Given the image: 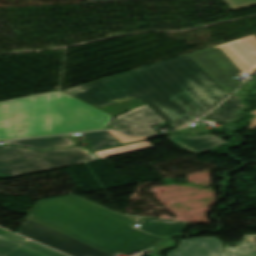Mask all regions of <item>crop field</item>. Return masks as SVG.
Masks as SVG:
<instances>
[{"label": "crop field", "mask_w": 256, "mask_h": 256, "mask_svg": "<svg viewBox=\"0 0 256 256\" xmlns=\"http://www.w3.org/2000/svg\"><path fill=\"white\" fill-rule=\"evenodd\" d=\"M136 222L141 230L163 237L184 232L188 224L117 214L70 195L37 202L17 232L72 256L128 255L146 248L153 250L147 256H158L159 249L175 245L130 228Z\"/></svg>", "instance_id": "1"}, {"label": "crop field", "mask_w": 256, "mask_h": 256, "mask_svg": "<svg viewBox=\"0 0 256 256\" xmlns=\"http://www.w3.org/2000/svg\"><path fill=\"white\" fill-rule=\"evenodd\" d=\"M63 92L96 108L139 97L173 130L229 96L187 55Z\"/></svg>", "instance_id": "2"}, {"label": "crop field", "mask_w": 256, "mask_h": 256, "mask_svg": "<svg viewBox=\"0 0 256 256\" xmlns=\"http://www.w3.org/2000/svg\"><path fill=\"white\" fill-rule=\"evenodd\" d=\"M113 116L56 91L0 103V141L105 128Z\"/></svg>", "instance_id": "3"}, {"label": "crop field", "mask_w": 256, "mask_h": 256, "mask_svg": "<svg viewBox=\"0 0 256 256\" xmlns=\"http://www.w3.org/2000/svg\"><path fill=\"white\" fill-rule=\"evenodd\" d=\"M229 95L241 84L232 77L256 69V35L188 54Z\"/></svg>", "instance_id": "4"}, {"label": "crop field", "mask_w": 256, "mask_h": 256, "mask_svg": "<svg viewBox=\"0 0 256 256\" xmlns=\"http://www.w3.org/2000/svg\"><path fill=\"white\" fill-rule=\"evenodd\" d=\"M79 147L37 152L16 147L0 148V178L9 179L51 169L94 161Z\"/></svg>", "instance_id": "5"}, {"label": "crop field", "mask_w": 256, "mask_h": 256, "mask_svg": "<svg viewBox=\"0 0 256 256\" xmlns=\"http://www.w3.org/2000/svg\"><path fill=\"white\" fill-rule=\"evenodd\" d=\"M164 123L146 105L112 119L110 125L119 131L132 136L155 134L149 127Z\"/></svg>", "instance_id": "6"}, {"label": "crop field", "mask_w": 256, "mask_h": 256, "mask_svg": "<svg viewBox=\"0 0 256 256\" xmlns=\"http://www.w3.org/2000/svg\"><path fill=\"white\" fill-rule=\"evenodd\" d=\"M0 256H65L0 228Z\"/></svg>", "instance_id": "7"}, {"label": "crop field", "mask_w": 256, "mask_h": 256, "mask_svg": "<svg viewBox=\"0 0 256 256\" xmlns=\"http://www.w3.org/2000/svg\"><path fill=\"white\" fill-rule=\"evenodd\" d=\"M181 245L168 256H225L221 243L215 237H203L180 241Z\"/></svg>", "instance_id": "8"}, {"label": "crop field", "mask_w": 256, "mask_h": 256, "mask_svg": "<svg viewBox=\"0 0 256 256\" xmlns=\"http://www.w3.org/2000/svg\"><path fill=\"white\" fill-rule=\"evenodd\" d=\"M165 139L177 144L178 146L194 154L205 152L227 143L211 134L202 136L175 135L165 137Z\"/></svg>", "instance_id": "9"}, {"label": "crop field", "mask_w": 256, "mask_h": 256, "mask_svg": "<svg viewBox=\"0 0 256 256\" xmlns=\"http://www.w3.org/2000/svg\"><path fill=\"white\" fill-rule=\"evenodd\" d=\"M245 107L246 105L242 104L239 98L231 96L225 100L217 109L203 118L214 119L227 123L236 118V111Z\"/></svg>", "instance_id": "10"}, {"label": "crop field", "mask_w": 256, "mask_h": 256, "mask_svg": "<svg viewBox=\"0 0 256 256\" xmlns=\"http://www.w3.org/2000/svg\"><path fill=\"white\" fill-rule=\"evenodd\" d=\"M7 144H16L24 147H30L34 149H49L57 146H69L73 145L68 138L64 135L55 136V137H47V138H35V139H24V140H15L9 141Z\"/></svg>", "instance_id": "11"}, {"label": "crop field", "mask_w": 256, "mask_h": 256, "mask_svg": "<svg viewBox=\"0 0 256 256\" xmlns=\"http://www.w3.org/2000/svg\"><path fill=\"white\" fill-rule=\"evenodd\" d=\"M228 256H256V235L243 237L239 247L225 248Z\"/></svg>", "instance_id": "12"}, {"label": "crop field", "mask_w": 256, "mask_h": 256, "mask_svg": "<svg viewBox=\"0 0 256 256\" xmlns=\"http://www.w3.org/2000/svg\"><path fill=\"white\" fill-rule=\"evenodd\" d=\"M83 135L90 141L89 146L93 150L120 144L107 131L85 133Z\"/></svg>", "instance_id": "13"}, {"label": "crop field", "mask_w": 256, "mask_h": 256, "mask_svg": "<svg viewBox=\"0 0 256 256\" xmlns=\"http://www.w3.org/2000/svg\"><path fill=\"white\" fill-rule=\"evenodd\" d=\"M152 147L153 146L148 141H145V142L125 145V146H120L112 149L95 152V154L99 159H102L106 157L116 156V155L134 152L138 150L148 149Z\"/></svg>", "instance_id": "14"}, {"label": "crop field", "mask_w": 256, "mask_h": 256, "mask_svg": "<svg viewBox=\"0 0 256 256\" xmlns=\"http://www.w3.org/2000/svg\"><path fill=\"white\" fill-rule=\"evenodd\" d=\"M232 10H239L256 5V0H223Z\"/></svg>", "instance_id": "15"}, {"label": "crop field", "mask_w": 256, "mask_h": 256, "mask_svg": "<svg viewBox=\"0 0 256 256\" xmlns=\"http://www.w3.org/2000/svg\"><path fill=\"white\" fill-rule=\"evenodd\" d=\"M178 132H181V133H186V134H196V133H202V132H207L209 131V129H206L200 125H197L193 128H190V127H185L183 129H180V130H177Z\"/></svg>", "instance_id": "16"}, {"label": "crop field", "mask_w": 256, "mask_h": 256, "mask_svg": "<svg viewBox=\"0 0 256 256\" xmlns=\"http://www.w3.org/2000/svg\"><path fill=\"white\" fill-rule=\"evenodd\" d=\"M254 83H256V82L248 81V82H246V83L244 84V86H243L241 89L250 91V89H251V87H252V84H254ZM241 89L238 90L235 94H233V96H236V97H239V98H242V99L248 98L247 95H248L249 93L243 92V91H241Z\"/></svg>", "instance_id": "17"}, {"label": "crop field", "mask_w": 256, "mask_h": 256, "mask_svg": "<svg viewBox=\"0 0 256 256\" xmlns=\"http://www.w3.org/2000/svg\"><path fill=\"white\" fill-rule=\"evenodd\" d=\"M87 2H99V1H124V0H86Z\"/></svg>", "instance_id": "18"}, {"label": "crop field", "mask_w": 256, "mask_h": 256, "mask_svg": "<svg viewBox=\"0 0 256 256\" xmlns=\"http://www.w3.org/2000/svg\"><path fill=\"white\" fill-rule=\"evenodd\" d=\"M250 123V125L248 126L249 129L253 128L254 127V122H252L251 120L248 121Z\"/></svg>", "instance_id": "19"}, {"label": "crop field", "mask_w": 256, "mask_h": 256, "mask_svg": "<svg viewBox=\"0 0 256 256\" xmlns=\"http://www.w3.org/2000/svg\"><path fill=\"white\" fill-rule=\"evenodd\" d=\"M251 113H253L256 116V112H251ZM252 121L255 122V127H256V117L254 119H252Z\"/></svg>", "instance_id": "20"}]
</instances>
